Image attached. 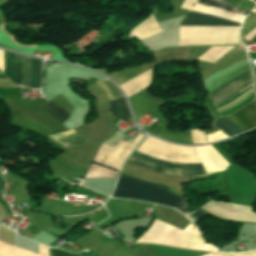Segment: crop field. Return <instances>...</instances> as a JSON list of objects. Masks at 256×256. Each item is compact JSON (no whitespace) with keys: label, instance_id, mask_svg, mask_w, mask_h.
<instances>
[{"label":"crop field","instance_id":"obj_1","mask_svg":"<svg viewBox=\"0 0 256 256\" xmlns=\"http://www.w3.org/2000/svg\"><path fill=\"white\" fill-rule=\"evenodd\" d=\"M136 242L219 252L213 244H206L202 233L192 222L181 231L159 220H155L145 234Z\"/></svg>","mask_w":256,"mask_h":256},{"label":"crop field","instance_id":"obj_2","mask_svg":"<svg viewBox=\"0 0 256 256\" xmlns=\"http://www.w3.org/2000/svg\"><path fill=\"white\" fill-rule=\"evenodd\" d=\"M111 196L159 203L173 207L185 216L189 214L186 202L154 184L135 178L119 176L117 186Z\"/></svg>","mask_w":256,"mask_h":256},{"label":"crop field","instance_id":"obj_3","mask_svg":"<svg viewBox=\"0 0 256 256\" xmlns=\"http://www.w3.org/2000/svg\"><path fill=\"white\" fill-rule=\"evenodd\" d=\"M31 59L23 56V79L22 78V56L14 54V76L13 83L30 87L31 83ZM4 73L12 80L13 75V53L4 51ZM31 87H41V60H32V83Z\"/></svg>","mask_w":256,"mask_h":256},{"label":"crop field","instance_id":"obj_4","mask_svg":"<svg viewBox=\"0 0 256 256\" xmlns=\"http://www.w3.org/2000/svg\"><path fill=\"white\" fill-rule=\"evenodd\" d=\"M226 118L232 124H234L241 132L255 128L256 99L252 101L248 106L238 110L237 112L229 116H226ZM226 118L223 117L215 120L213 125L219 127L229 136L240 133V131Z\"/></svg>","mask_w":256,"mask_h":256},{"label":"crop field","instance_id":"obj_5","mask_svg":"<svg viewBox=\"0 0 256 256\" xmlns=\"http://www.w3.org/2000/svg\"><path fill=\"white\" fill-rule=\"evenodd\" d=\"M132 157L137 158L141 161L156 165V166H161V167H167V168H174V169H181V170H201L203 169L201 164H196V165H182V164H174V163H168V162H164V161H160V160H156V159H152L149 157H146L138 152H134V154L132 155ZM130 157L128 159V162L136 165V166H140V167H144L147 169H151L154 171H158V172H162V173H167V174H171V175H177V176H185V177H200V176H206V173L204 170L201 171H181V170H174V169H167V168H161V167H156L144 162H141L139 160H136L134 158Z\"/></svg>","mask_w":256,"mask_h":256},{"label":"crop field","instance_id":"obj_6","mask_svg":"<svg viewBox=\"0 0 256 256\" xmlns=\"http://www.w3.org/2000/svg\"><path fill=\"white\" fill-rule=\"evenodd\" d=\"M144 136L139 133L131 144L121 141L114 148L102 144L98 153L96 154L93 163L119 170L121 163L141 141Z\"/></svg>","mask_w":256,"mask_h":256},{"label":"crop field","instance_id":"obj_7","mask_svg":"<svg viewBox=\"0 0 256 256\" xmlns=\"http://www.w3.org/2000/svg\"><path fill=\"white\" fill-rule=\"evenodd\" d=\"M202 208L224 219L256 222V213L249 207L209 201Z\"/></svg>","mask_w":256,"mask_h":256},{"label":"crop field","instance_id":"obj_8","mask_svg":"<svg viewBox=\"0 0 256 256\" xmlns=\"http://www.w3.org/2000/svg\"><path fill=\"white\" fill-rule=\"evenodd\" d=\"M252 77L250 71L210 92V98L214 107L226 102L244 90L251 84Z\"/></svg>","mask_w":256,"mask_h":256},{"label":"crop field","instance_id":"obj_9","mask_svg":"<svg viewBox=\"0 0 256 256\" xmlns=\"http://www.w3.org/2000/svg\"><path fill=\"white\" fill-rule=\"evenodd\" d=\"M197 3L230 10V11L237 12V13L244 14V15L247 14V12L240 10L236 7L230 6L221 0H197ZM197 3H195L192 10L219 16V17H223V18H227V19L233 20L238 23H240L242 18L245 17L244 15H240V14L233 13L230 11L217 9V8H213V7H209V6H205V5H201V4H197Z\"/></svg>","mask_w":256,"mask_h":256},{"label":"crop field","instance_id":"obj_10","mask_svg":"<svg viewBox=\"0 0 256 256\" xmlns=\"http://www.w3.org/2000/svg\"><path fill=\"white\" fill-rule=\"evenodd\" d=\"M207 175L223 171L229 165L211 146L194 147Z\"/></svg>","mask_w":256,"mask_h":256},{"label":"crop field","instance_id":"obj_11","mask_svg":"<svg viewBox=\"0 0 256 256\" xmlns=\"http://www.w3.org/2000/svg\"><path fill=\"white\" fill-rule=\"evenodd\" d=\"M181 26H240V24L189 11Z\"/></svg>","mask_w":256,"mask_h":256},{"label":"crop field","instance_id":"obj_12","mask_svg":"<svg viewBox=\"0 0 256 256\" xmlns=\"http://www.w3.org/2000/svg\"><path fill=\"white\" fill-rule=\"evenodd\" d=\"M128 99L136 120L160 104L158 99L153 98L146 93H138Z\"/></svg>","mask_w":256,"mask_h":256},{"label":"crop field","instance_id":"obj_13","mask_svg":"<svg viewBox=\"0 0 256 256\" xmlns=\"http://www.w3.org/2000/svg\"><path fill=\"white\" fill-rule=\"evenodd\" d=\"M0 256H48L47 248L39 244V255L0 242Z\"/></svg>","mask_w":256,"mask_h":256},{"label":"crop field","instance_id":"obj_14","mask_svg":"<svg viewBox=\"0 0 256 256\" xmlns=\"http://www.w3.org/2000/svg\"><path fill=\"white\" fill-rule=\"evenodd\" d=\"M160 32H162V30L158 26L152 15L148 20H146L144 23H142L140 26L134 29L131 33L134 34L140 40H142L144 38H147Z\"/></svg>","mask_w":256,"mask_h":256},{"label":"crop field","instance_id":"obj_15","mask_svg":"<svg viewBox=\"0 0 256 256\" xmlns=\"http://www.w3.org/2000/svg\"><path fill=\"white\" fill-rule=\"evenodd\" d=\"M49 137H51L58 143L64 145L65 147L84 142L83 138L80 135H78L74 129L70 131L50 135Z\"/></svg>","mask_w":256,"mask_h":256},{"label":"crop field","instance_id":"obj_16","mask_svg":"<svg viewBox=\"0 0 256 256\" xmlns=\"http://www.w3.org/2000/svg\"><path fill=\"white\" fill-rule=\"evenodd\" d=\"M112 113L121 119L132 118L124 96L109 102Z\"/></svg>","mask_w":256,"mask_h":256},{"label":"crop field","instance_id":"obj_17","mask_svg":"<svg viewBox=\"0 0 256 256\" xmlns=\"http://www.w3.org/2000/svg\"><path fill=\"white\" fill-rule=\"evenodd\" d=\"M41 107L44 108L47 112H49L62 123L67 121L68 117L70 116V113L68 111H66L63 107H61L58 103H56L53 100Z\"/></svg>","mask_w":256,"mask_h":256},{"label":"crop field","instance_id":"obj_18","mask_svg":"<svg viewBox=\"0 0 256 256\" xmlns=\"http://www.w3.org/2000/svg\"><path fill=\"white\" fill-rule=\"evenodd\" d=\"M115 172L91 164L85 178L114 177Z\"/></svg>","mask_w":256,"mask_h":256},{"label":"crop field","instance_id":"obj_19","mask_svg":"<svg viewBox=\"0 0 256 256\" xmlns=\"http://www.w3.org/2000/svg\"><path fill=\"white\" fill-rule=\"evenodd\" d=\"M158 136L162 137L164 139L170 140V141L178 142V143L191 144L190 136L172 133V132L166 131L164 129H162V131L159 133Z\"/></svg>","mask_w":256,"mask_h":256},{"label":"crop field","instance_id":"obj_20","mask_svg":"<svg viewBox=\"0 0 256 256\" xmlns=\"http://www.w3.org/2000/svg\"><path fill=\"white\" fill-rule=\"evenodd\" d=\"M190 133L193 144L206 143L204 132H199V130H190Z\"/></svg>","mask_w":256,"mask_h":256},{"label":"crop field","instance_id":"obj_21","mask_svg":"<svg viewBox=\"0 0 256 256\" xmlns=\"http://www.w3.org/2000/svg\"><path fill=\"white\" fill-rule=\"evenodd\" d=\"M207 140L208 143L213 142V141H217L223 138H227V136L225 134H223L222 132L218 131V132H214L211 134H207Z\"/></svg>","mask_w":256,"mask_h":256},{"label":"crop field","instance_id":"obj_22","mask_svg":"<svg viewBox=\"0 0 256 256\" xmlns=\"http://www.w3.org/2000/svg\"><path fill=\"white\" fill-rule=\"evenodd\" d=\"M232 256H256V250L254 251H247L243 253H229Z\"/></svg>","mask_w":256,"mask_h":256},{"label":"crop field","instance_id":"obj_23","mask_svg":"<svg viewBox=\"0 0 256 256\" xmlns=\"http://www.w3.org/2000/svg\"><path fill=\"white\" fill-rule=\"evenodd\" d=\"M50 256H71L65 252L49 249ZM74 256V255H73Z\"/></svg>","mask_w":256,"mask_h":256},{"label":"crop field","instance_id":"obj_24","mask_svg":"<svg viewBox=\"0 0 256 256\" xmlns=\"http://www.w3.org/2000/svg\"><path fill=\"white\" fill-rule=\"evenodd\" d=\"M227 2H229L230 4L236 6L241 0H225Z\"/></svg>","mask_w":256,"mask_h":256},{"label":"crop field","instance_id":"obj_25","mask_svg":"<svg viewBox=\"0 0 256 256\" xmlns=\"http://www.w3.org/2000/svg\"><path fill=\"white\" fill-rule=\"evenodd\" d=\"M205 256H229L228 254H207Z\"/></svg>","mask_w":256,"mask_h":256},{"label":"crop field","instance_id":"obj_26","mask_svg":"<svg viewBox=\"0 0 256 256\" xmlns=\"http://www.w3.org/2000/svg\"><path fill=\"white\" fill-rule=\"evenodd\" d=\"M252 13L256 14V9L252 11Z\"/></svg>","mask_w":256,"mask_h":256},{"label":"crop field","instance_id":"obj_27","mask_svg":"<svg viewBox=\"0 0 256 256\" xmlns=\"http://www.w3.org/2000/svg\"><path fill=\"white\" fill-rule=\"evenodd\" d=\"M253 40L256 41V38H254Z\"/></svg>","mask_w":256,"mask_h":256},{"label":"crop field","instance_id":"obj_28","mask_svg":"<svg viewBox=\"0 0 256 256\" xmlns=\"http://www.w3.org/2000/svg\"><path fill=\"white\" fill-rule=\"evenodd\" d=\"M0 75H3V74L0 72Z\"/></svg>","mask_w":256,"mask_h":256},{"label":"crop field","instance_id":"obj_29","mask_svg":"<svg viewBox=\"0 0 256 256\" xmlns=\"http://www.w3.org/2000/svg\"><path fill=\"white\" fill-rule=\"evenodd\" d=\"M256 2V0H254Z\"/></svg>","mask_w":256,"mask_h":256}]
</instances>
